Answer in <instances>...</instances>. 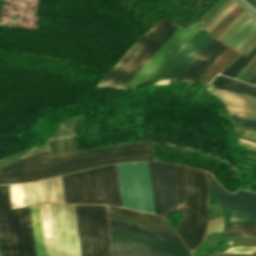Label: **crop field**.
Listing matches in <instances>:
<instances>
[{
	"label": "crop field",
	"mask_w": 256,
	"mask_h": 256,
	"mask_svg": "<svg viewBox=\"0 0 256 256\" xmlns=\"http://www.w3.org/2000/svg\"><path fill=\"white\" fill-rule=\"evenodd\" d=\"M153 142L132 143L49 158L47 151L0 168V184L38 179L106 164L152 160Z\"/></svg>",
	"instance_id": "obj_1"
},
{
	"label": "crop field",
	"mask_w": 256,
	"mask_h": 256,
	"mask_svg": "<svg viewBox=\"0 0 256 256\" xmlns=\"http://www.w3.org/2000/svg\"><path fill=\"white\" fill-rule=\"evenodd\" d=\"M180 208L186 216L175 230L193 252L205 232L207 220L208 173L198 169L175 165Z\"/></svg>",
	"instance_id": "obj_2"
},
{
	"label": "crop field",
	"mask_w": 256,
	"mask_h": 256,
	"mask_svg": "<svg viewBox=\"0 0 256 256\" xmlns=\"http://www.w3.org/2000/svg\"><path fill=\"white\" fill-rule=\"evenodd\" d=\"M62 180L65 203H108L122 207L116 164L64 175Z\"/></svg>",
	"instance_id": "obj_3"
},
{
	"label": "crop field",
	"mask_w": 256,
	"mask_h": 256,
	"mask_svg": "<svg viewBox=\"0 0 256 256\" xmlns=\"http://www.w3.org/2000/svg\"><path fill=\"white\" fill-rule=\"evenodd\" d=\"M179 26L162 19L144 34L96 87L121 89Z\"/></svg>",
	"instance_id": "obj_4"
},
{
	"label": "crop field",
	"mask_w": 256,
	"mask_h": 256,
	"mask_svg": "<svg viewBox=\"0 0 256 256\" xmlns=\"http://www.w3.org/2000/svg\"><path fill=\"white\" fill-rule=\"evenodd\" d=\"M0 255L35 256L29 207L11 210L7 185H0Z\"/></svg>",
	"instance_id": "obj_5"
},
{
	"label": "crop field",
	"mask_w": 256,
	"mask_h": 256,
	"mask_svg": "<svg viewBox=\"0 0 256 256\" xmlns=\"http://www.w3.org/2000/svg\"><path fill=\"white\" fill-rule=\"evenodd\" d=\"M81 256H112L105 205H75Z\"/></svg>",
	"instance_id": "obj_6"
},
{
	"label": "crop field",
	"mask_w": 256,
	"mask_h": 256,
	"mask_svg": "<svg viewBox=\"0 0 256 256\" xmlns=\"http://www.w3.org/2000/svg\"><path fill=\"white\" fill-rule=\"evenodd\" d=\"M114 256H191L185 245L110 228Z\"/></svg>",
	"instance_id": "obj_7"
},
{
	"label": "crop field",
	"mask_w": 256,
	"mask_h": 256,
	"mask_svg": "<svg viewBox=\"0 0 256 256\" xmlns=\"http://www.w3.org/2000/svg\"><path fill=\"white\" fill-rule=\"evenodd\" d=\"M117 167L123 207L154 214L147 162Z\"/></svg>",
	"instance_id": "obj_8"
},
{
	"label": "crop field",
	"mask_w": 256,
	"mask_h": 256,
	"mask_svg": "<svg viewBox=\"0 0 256 256\" xmlns=\"http://www.w3.org/2000/svg\"><path fill=\"white\" fill-rule=\"evenodd\" d=\"M54 239H44L46 256H80L74 205L50 204Z\"/></svg>",
	"instance_id": "obj_9"
},
{
	"label": "crop field",
	"mask_w": 256,
	"mask_h": 256,
	"mask_svg": "<svg viewBox=\"0 0 256 256\" xmlns=\"http://www.w3.org/2000/svg\"><path fill=\"white\" fill-rule=\"evenodd\" d=\"M154 211L167 216L180 211L174 165L148 162Z\"/></svg>",
	"instance_id": "obj_10"
},
{
	"label": "crop field",
	"mask_w": 256,
	"mask_h": 256,
	"mask_svg": "<svg viewBox=\"0 0 256 256\" xmlns=\"http://www.w3.org/2000/svg\"><path fill=\"white\" fill-rule=\"evenodd\" d=\"M201 26L179 27L122 89H136L148 83Z\"/></svg>",
	"instance_id": "obj_11"
},
{
	"label": "crop field",
	"mask_w": 256,
	"mask_h": 256,
	"mask_svg": "<svg viewBox=\"0 0 256 256\" xmlns=\"http://www.w3.org/2000/svg\"><path fill=\"white\" fill-rule=\"evenodd\" d=\"M212 38L201 27L151 81L164 78L175 79Z\"/></svg>",
	"instance_id": "obj_12"
},
{
	"label": "crop field",
	"mask_w": 256,
	"mask_h": 256,
	"mask_svg": "<svg viewBox=\"0 0 256 256\" xmlns=\"http://www.w3.org/2000/svg\"><path fill=\"white\" fill-rule=\"evenodd\" d=\"M26 206L64 203L61 176L23 184Z\"/></svg>",
	"instance_id": "obj_13"
},
{
	"label": "crop field",
	"mask_w": 256,
	"mask_h": 256,
	"mask_svg": "<svg viewBox=\"0 0 256 256\" xmlns=\"http://www.w3.org/2000/svg\"><path fill=\"white\" fill-rule=\"evenodd\" d=\"M227 49L213 38L176 79L198 81Z\"/></svg>",
	"instance_id": "obj_14"
},
{
	"label": "crop field",
	"mask_w": 256,
	"mask_h": 256,
	"mask_svg": "<svg viewBox=\"0 0 256 256\" xmlns=\"http://www.w3.org/2000/svg\"><path fill=\"white\" fill-rule=\"evenodd\" d=\"M212 192L224 207L256 213V194L238 190L234 194L227 193L210 175Z\"/></svg>",
	"instance_id": "obj_15"
},
{
	"label": "crop field",
	"mask_w": 256,
	"mask_h": 256,
	"mask_svg": "<svg viewBox=\"0 0 256 256\" xmlns=\"http://www.w3.org/2000/svg\"><path fill=\"white\" fill-rule=\"evenodd\" d=\"M212 95L221 99L231 115L256 121V99L213 88Z\"/></svg>",
	"instance_id": "obj_16"
},
{
	"label": "crop field",
	"mask_w": 256,
	"mask_h": 256,
	"mask_svg": "<svg viewBox=\"0 0 256 256\" xmlns=\"http://www.w3.org/2000/svg\"><path fill=\"white\" fill-rule=\"evenodd\" d=\"M110 227L182 243L175 233L109 218ZM183 244V243H182Z\"/></svg>",
	"instance_id": "obj_17"
},
{
	"label": "crop field",
	"mask_w": 256,
	"mask_h": 256,
	"mask_svg": "<svg viewBox=\"0 0 256 256\" xmlns=\"http://www.w3.org/2000/svg\"><path fill=\"white\" fill-rule=\"evenodd\" d=\"M211 84H216L215 88L251 96L256 98V88L241 82L218 75Z\"/></svg>",
	"instance_id": "obj_18"
},
{
	"label": "crop field",
	"mask_w": 256,
	"mask_h": 256,
	"mask_svg": "<svg viewBox=\"0 0 256 256\" xmlns=\"http://www.w3.org/2000/svg\"><path fill=\"white\" fill-rule=\"evenodd\" d=\"M30 210H31L34 240H35V246H36L35 247L36 255L37 256H45L39 206H38V208H35V209H33V206H31Z\"/></svg>",
	"instance_id": "obj_19"
},
{
	"label": "crop field",
	"mask_w": 256,
	"mask_h": 256,
	"mask_svg": "<svg viewBox=\"0 0 256 256\" xmlns=\"http://www.w3.org/2000/svg\"><path fill=\"white\" fill-rule=\"evenodd\" d=\"M255 31L256 22L251 19L231 37L226 45L238 50L240 45Z\"/></svg>",
	"instance_id": "obj_20"
},
{
	"label": "crop field",
	"mask_w": 256,
	"mask_h": 256,
	"mask_svg": "<svg viewBox=\"0 0 256 256\" xmlns=\"http://www.w3.org/2000/svg\"><path fill=\"white\" fill-rule=\"evenodd\" d=\"M256 54V47L246 56L240 55L230 66H228L220 74L235 78L237 74L248 64L252 57Z\"/></svg>",
	"instance_id": "obj_21"
},
{
	"label": "crop field",
	"mask_w": 256,
	"mask_h": 256,
	"mask_svg": "<svg viewBox=\"0 0 256 256\" xmlns=\"http://www.w3.org/2000/svg\"><path fill=\"white\" fill-rule=\"evenodd\" d=\"M227 211L228 215L226 223L256 224V214L246 213L232 209H227Z\"/></svg>",
	"instance_id": "obj_22"
},
{
	"label": "crop field",
	"mask_w": 256,
	"mask_h": 256,
	"mask_svg": "<svg viewBox=\"0 0 256 256\" xmlns=\"http://www.w3.org/2000/svg\"><path fill=\"white\" fill-rule=\"evenodd\" d=\"M225 235L237 237H256V225L226 224Z\"/></svg>",
	"instance_id": "obj_23"
},
{
	"label": "crop field",
	"mask_w": 256,
	"mask_h": 256,
	"mask_svg": "<svg viewBox=\"0 0 256 256\" xmlns=\"http://www.w3.org/2000/svg\"><path fill=\"white\" fill-rule=\"evenodd\" d=\"M107 207H108V211H110V212H115V213H120V214H124V215L134 216V217H138V218H142V219H146V220H151V221H155V222H159V223H163V224L168 225L165 218L160 217V216L146 214V213L137 212V211L128 210V209L119 208V207H114V206H110V205H108Z\"/></svg>",
	"instance_id": "obj_24"
},
{
	"label": "crop field",
	"mask_w": 256,
	"mask_h": 256,
	"mask_svg": "<svg viewBox=\"0 0 256 256\" xmlns=\"http://www.w3.org/2000/svg\"><path fill=\"white\" fill-rule=\"evenodd\" d=\"M44 238H53L49 204L40 206Z\"/></svg>",
	"instance_id": "obj_25"
},
{
	"label": "crop field",
	"mask_w": 256,
	"mask_h": 256,
	"mask_svg": "<svg viewBox=\"0 0 256 256\" xmlns=\"http://www.w3.org/2000/svg\"><path fill=\"white\" fill-rule=\"evenodd\" d=\"M9 188L12 207L17 208L25 206L22 184L9 185Z\"/></svg>",
	"instance_id": "obj_26"
},
{
	"label": "crop field",
	"mask_w": 256,
	"mask_h": 256,
	"mask_svg": "<svg viewBox=\"0 0 256 256\" xmlns=\"http://www.w3.org/2000/svg\"><path fill=\"white\" fill-rule=\"evenodd\" d=\"M237 5L233 2L232 4H230L226 9H224L219 16L221 17H225L228 13H230ZM222 20V18L220 17H216L205 29L207 31H211L220 21Z\"/></svg>",
	"instance_id": "obj_27"
},
{
	"label": "crop field",
	"mask_w": 256,
	"mask_h": 256,
	"mask_svg": "<svg viewBox=\"0 0 256 256\" xmlns=\"http://www.w3.org/2000/svg\"><path fill=\"white\" fill-rule=\"evenodd\" d=\"M255 40H256V32H255L254 34H252V35L241 45V47L239 48V51H241V52L243 53ZM255 42H256V41H255ZM255 42H254V43H255ZM254 43H253V44H254ZM253 44H252V45H253ZM255 44H256V43H255ZM255 44H254V45H255ZM252 45H251V46H252ZM254 45H253V46H254ZM251 46L243 53V55L251 48ZM253 46H252V47H253ZM255 46H256V45H255ZM255 46H254V47H255ZM254 47H253V48H254ZM253 48H252V49H253ZM252 49H251V50H252ZM251 50H250V51H251ZM250 51H249V52H250ZM249 52H248V53H249ZM245 55H246V54H245ZM245 55H244V56H245Z\"/></svg>",
	"instance_id": "obj_28"
},
{
	"label": "crop field",
	"mask_w": 256,
	"mask_h": 256,
	"mask_svg": "<svg viewBox=\"0 0 256 256\" xmlns=\"http://www.w3.org/2000/svg\"><path fill=\"white\" fill-rule=\"evenodd\" d=\"M231 119L234 124H238V125L256 129V122H254V121H250V120H246V119H242V118H238V117H234V116H231Z\"/></svg>",
	"instance_id": "obj_29"
},
{
	"label": "crop field",
	"mask_w": 256,
	"mask_h": 256,
	"mask_svg": "<svg viewBox=\"0 0 256 256\" xmlns=\"http://www.w3.org/2000/svg\"><path fill=\"white\" fill-rule=\"evenodd\" d=\"M224 219L211 220L209 224L223 225ZM207 231L223 232V226L209 225Z\"/></svg>",
	"instance_id": "obj_30"
},
{
	"label": "crop field",
	"mask_w": 256,
	"mask_h": 256,
	"mask_svg": "<svg viewBox=\"0 0 256 256\" xmlns=\"http://www.w3.org/2000/svg\"><path fill=\"white\" fill-rule=\"evenodd\" d=\"M256 248L249 247H231L227 252L252 253Z\"/></svg>",
	"instance_id": "obj_31"
},
{
	"label": "crop field",
	"mask_w": 256,
	"mask_h": 256,
	"mask_svg": "<svg viewBox=\"0 0 256 256\" xmlns=\"http://www.w3.org/2000/svg\"><path fill=\"white\" fill-rule=\"evenodd\" d=\"M232 2V0H228L226 3H224L202 26L205 28L212 19H214L224 8H226Z\"/></svg>",
	"instance_id": "obj_32"
},
{
	"label": "crop field",
	"mask_w": 256,
	"mask_h": 256,
	"mask_svg": "<svg viewBox=\"0 0 256 256\" xmlns=\"http://www.w3.org/2000/svg\"><path fill=\"white\" fill-rule=\"evenodd\" d=\"M236 133L238 135H242V136H246V137H250V138H254L256 139V133L252 132V131H248V130H244V129H240V128H236Z\"/></svg>",
	"instance_id": "obj_33"
},
{
	"label": "crop field",
	"mask_w": 256,
	"mask_h": 256,
	"mask_svg": "<svg viewBox=\"0 0 256 256\" xmlns=\"http://www.w3.org/2000/svg\"><path fill=\"white\" fill-rule=\"evenodd\" d=\"M249 17H248V15L244 18V19H242L237 25H235L227 34H226V36L223 38V40L221 41V42H225L226 41V39L238 28V27H240L247 19H248Z\"/></svg>",
	"instance_id": "obj_34"
},
{
	"label": "crop field",
	"mask_w": 256,
	"mask_h": 256,
	"mask_svg": "<svg viewBox=\"0 0 256 256\" xmlns=\"http://www.w3.org/2000/svg\"><path fill=\"white\" fill-rule=\"evenodd\" d=\"M245 13H241L239 16H237L216 38L219 40L224 33L237 21L239 20Z\"/></svg>",
	"instance_id": "obj_35"
},
{
	"label": "crop field",
	"mask_w": 256,
	"mask_h": 256,
	"mask_svg": "<svg viewBox=\"0 0 256 256\" xmlns=\"http://www.w3.org/2000/svg\"><path fill=\"white\" fill-rule=\"evenodd\" d=\"M236 1L240 4V6H241L244 10H246V9L248 8L253 14L256 15V13H255L244 1L240 0L247 8H246L239 0H236ZM248 9H247L246 11L256 20V16L253 15Z\"/></svg>",
	"instance_id": "obj_36"
},
{
	"label": "crop field",
	"mask_w": 256,
	"mask_h": 256,
	"mask_svg": "<svg viewBox=\"0 0 256 256\" xmlns=\"http://www.w3.org/2000/svg\"><path fill=\"white\" fill-rule=\"evenodd\" d=\"M256 9V0H247Z\"/></svg>",
	"instance_id": "obj_37"
},
{
	"label": "crop field",
	"mask_w": 256,
	"mask_h": 256,
	"mask_svg": "<svg viewBox=\"0 0 256 256\" xmlns=\"http://www.w3.org/2000/svg\"><path fill=\"white\" fill-rule=\"evenodd\" d=\"M245 16H246V14H245L243 17H245ZM243 17H242V18H243ZM242 18H241V19H242ZM241 19H240V20H241ZM240 20H239V21H240ZM239 21H237L235 24H237ZM235 24H234V25H235ZM234 25H233V26H234ZM233 26H232V27H233ZM232 27H231V28H232ZM231 28H230V29H231ZM230 29H229V30H230ZM229 30H228V31H229ZM228 31H227V32H228ZM227 32H226V33H227ZM226 33H225V34H226ZM223 37H224V36H223ZM223 37H222V38H223ZM222 38H221V39H222ZM221 39H220V41H221Z\"/></svg>",
	"instance_id": "obj_38"
},
{
	"label": "crop field",
	"mask_w": 256,
	"mask_h": 256,
	"mask_svg": "<svg viewBox=\"0 0 256 256\" xmlns=\"http://www.w3.org/2000/svg\"><path fill=\"white\" fill-rule=\"evenodd\" d=\"M249 19H250V18H249ZM249 19H248V20H249ZM248 20H247V21H248ZM247 21H246V22H247ZM246 22H245V23H246ZM245 23H244V24H245ZM244 24H243V25H244ZM243 25H242V26H243ZM242 26H241V27H242ZM241 27H240V28H241ZM238 29H239V28H238ZM238 29H237V30H238ZM237 30H236V31H237ZM236 31H235V32H236ZM235 32H234V33H235ZM234 33H233V34H234ZM233 34H232V35H233ZM232 35H231V36H232ZM231 36H230V37H231ZM227 39H228V38H227ZM227 39H226V40H227ZM228 40H229V39H228ZM228 40H227V41H228ZM227 41H226V42H227ZM226 42H225V43H226ZM225 43H224V44H225Z\"/></svg>",
	"instance_id": "obj_39"
},
{
	"label": "crop field",
	"mask_w": 256,
	"mask_h": 256,
	"mask_svg": "<svg viewBox=\"0 0 256 256\" xmlns=\"http://www.w3.org/2000/svg\"><path fill=\"white\" fill-rule=\"evenodd\" d=\"M256 79V76L249 82L250 84H252Z\"/></svg>",
	"instance_id": "obj_40"
},
{
	"label": "crop field",
	"mask_w": 256,
	"mask_h": 256,
	"mask_svg": "<svg viewBox=\"0 0 256 256\" xmlns=\"http://www.w3.org/2000/svg\"><path fill=\"white\" fill-rule=\"evenodd\" d=\"M250 256H256V253H254V254H252V255H250Z\"/></svg>",
	"instance_id": "obj_41"
}]
</instances>
